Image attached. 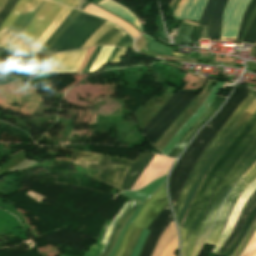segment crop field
Returning <instances> with one entry per match:
<instances>
[{
	"instance_id": "obj_1",
	"label": "crop field",
	"mask_w": 256,
	"mask_h": 256,
	"mask_svg": "<svg viewBox=\"0 0 256 256\" xmlns=\"http://www.w3.org/2000/svg\"><path fill=\"white\" fill-rule=\"evenodd\" d=\"M256 124V112L252 116V118L247 122V124L240 130L238 135L235 137V139L231 142V144L226 148V150L223 152V154L220 156V158L217 160V162L214 164V166L211 168L209 173L207 174L202 186L200 187L192 205L188 212V215L180 229L181 235H182V241L188 231L189 225L193 219V216L196 212V209L203 197L204 192L206 191L208 185L214 178V176L217 174V172L220 170V168L223 166L225 161L228 159V157L231 155V153L235 150V148L240 144V142L244 139V137L249 133V131L253 128V126ZM256 137V125L255 127L250 131V133L245 137V139L241 142V144L237 147V149L232 153V155L229 157L227 162L224 164V166L221 168V170L218 172V174L215 176L211 184L209 185L198 209L194 216V219L192 221V224L189 228V231L182 243V250L181 255L186 251L193 235L196 230V227L199 223V220L204 212V209L206 207V204L217 187V185L220 183V181L223 179V177L226 175V173L230 170V168L235 164V162L239 159V157L242 155V153L246 150V148L249 146V144L253 141V139ZM256 150V138L251 143V145L247 148V150L243 153V155L240 157V159L237 161V163L232 167V169L227 173V175L224 177V179L221 181L219 186L214 191L212 197L210 198L207 207L205 209L204 215L198 225V228L195 232V235L193 237L192 242L190 243L187 251L183 256H189L206 221L207 218L211 212V209L223 190V188L226 186V184L229 182V180L234 176V174L240 169V167L246 162V160L251 156V154Z\"/></svg>"
},
{
	"instance_id": "obj_2",
	"label": "crop field",
	"mask_w": 256,
	"mask_h": 256,
	"mask_svg": "<svg viewBox=\"0 0 256 256\" xmlns=\"http://www.w3.org/2000/svg\"><path fill=\"white\" fill-rule=\"evenodd\" d=\"M227 0H208L199 24L184 20L176 44L188 46L189 41L219 39L221 18Z\"/></svg>"
},
{
	"instance_id": "obj_3",
	"label": "crop field",
	"mask_w": 256,
	"mask_h": 256,
	"mask_svg": "<svg viewBox=\"0 0 256 256\" xmlns=\"http://www.w3.org/2000/svg\"><path fill=\"white\" fill-rule=\"evenodd\" d=\"M72 163H75L83 168L101 170L97 180H103L120 188L122 179L132 165L133 162L122 160L119 158L84 153L74 152ZM114 186V187H115Z\"/></svg>"
},
{
	"instance_id": "obj_4",
	"label": "crop field",
	"mask_w": 256,
	"mask_h": 256,
	"mask_svg": "<svg viewBox=\"0 0 256 256\" xmlns=\"http://www.w3.org/2000/svg\"><path fill=\"white\" fill-rule=\"evenodd\" d=\"M167 204L164 184L142 207L134 224L128 226L114 256H130L142 227L146 228Z\"/></svg>"
},
{
	"instance_id": "obj_5",
	"label": "crop field",
	"mask_w": 256,
	"mask_h": 256,
	"mask_svg": "<svg viewBox=\"0 0 256 256\" xmlns=\"http://www.w3.org/2000/svg\"><path fill=\"white\" fill-rule=\"evenodd\" d=\"M195 94V92L188 90L174 92L165 106L142 128L145 137L153 144L187 107Z\"/></svg>"
},
{
	"instance_id": "obj_6",
	"label": "crop field",
	"mask_w": 256,
	"mask_h": 256,
	"mask_svg": "<svg viewBox=\"0 0 256 256\" xmlns=\"http://www.w3.org/2000/svg\"><path fill=\"white\" fill-rule=\"evenodd\" d=\"M253 103V102H252ZM247 111L254 114L256 111V100L254 103L247 109ZM252 114L245 111V113L238 119V121L235 123V125L230 129V131L225 135L224 139L221 141V143L218 145V147L214 150V152L210 155L206 163L204 164L202 170L200 171L199 175L197 176L192 189L185 200L179 214L177 215L176 219L178 222L179 229L187 215V212L190 208V205L193 201L194 196L196 195L204 177L210 170V168L213 166V164L216 162V160L219 158L221 153L225 150V148L230 144V142L234 139V137L237 135L239 130L246 124V122L250 119Z\"/></svg>"
},
{
	"instance_id": "obj_7",
	"label": "crop field",
	"mask_w": 256,
	"mask_h": 256,
	"mask_svg": "<svg viewBox=\"0 0 256 256\" xmlns=\"http://www.w3.org/2000/svg\"><path fill=\"white\" fill-rule=\"evenodd\" d=\"M106 20L82 13L57 39L50 52L81 48Z\"/></svg>"
},
{
	"instance_id": "obj_8",
	"label": "crop field",
	"mask_w": 256,
	"mask_h": 256,
	"mask_svg": "<svg viewBox=\"0 0 256 256\" xmlns=\"http://www.w3.org/2000/svg\"><path fill=\"white\" fill-rule=\"evenodd\" d=\"M249 93L248 89L243 86L239 94L236 96V98L232 101V103L228 106L226 111L223 113V115L219 118V120L215 123V125L207 132V134L204 136L202 141L199 143L195 151L193 152L190 160L188 161L187 165L185 166L178 182L176 183L171 195V203L174 207L179 194L194 166L197 159L199 158L200 154L202 153L203 149L206 147V145L209 143V141L212 139L215 133L220 129V127L223 125V123L226 121V119L230 116V114L234 111V109L240 104V102L245 98V96Z\"/></svg>"
},
{
	"instance_id": "obj_9",
	"label": "crop field",
	"mask_w": 256,
	"mask_h": 256,
	"mask_svg": "<svg viewBox=\"0 0 256 256\" xmlns=\"http://www.w3.org/2000/svg\"><path fill=\"white\" fill-rule=\"evenodd\" d=\"M255 100V98L252 97V95H248L247 98L241 103V105L235 110V112L232 114V116L228 119V121L225 123V125L219 130V132L216 134L214 139L211 141V143L208 145V147L205 149L197 163L195 164L181 194L178 199V202L174 208L175 216L178 214L196 176L198 175L200 169L202 168L203 164L209 157V155L212 153V151L215 149L216 145L223 139L224 135L228 132V130L234 125V123L237 121V119L242 115V113L252 104V102Z\"/></svg>"
},
{
	"instance_id": "obj_10",
	"label": "crop field",
	"mask_w": 256,
	"mask_h": 256,
	"mask_svg": "<svg viewBox=\"0 0 256 256\" xmlns=\"http://www.w3.org/2000/svg\"><path fill=\"white\" fill-rule=\"evenodd\" d=\"M256 218V190L241 210L227 240L216 254L231 256L242 241L247 229Z\"/></svg>"
},
{
	"instance_id": "obj_11",
	"label": "crop field",
	"mask_w": 256,
	"mask_h": 256,
	"mask_svg": "<svg viewBox=\"0 0 256 256\" xmlns=\"http://www.w3.org/2000/svg\"><path fill=\"white\" fill-rule=\"evenodd\" d=\"M56 2L48 1L46 5L41 9V11L37 14L34 21L28 26V28L24 31V33L19 37L16 41L15 45L12 49L20 50L21 46L28 39V37L33 33V31L39 26L48 12L53 8ZM64 5L56 4L55 7L49 12L40 26L35 30V32L29 37V39L22 46L21 50L30 51L31 47L36 43L42 33L46 30L49 24L53 21V19L58 15V13L63 9Z\"/></svg>"
},
{
	"instance_id": "obj_12",
	"label": "crop field",
	"mask_w": 256,
	"mask_h": 256,
	"mask_svg": "<svg viewBox=\"0 0 256 256\" xmlns=\"http://www.w3.org/2000/svg\"><path fill=\"white\" fill-rule=\"evenodd\" d=\"M256 178V165L248 172L245 178H242L240 182L234 187V189L228 195L219 216L211 230V233L206 242L207 245L215 246L218 241L232 211V208L237 198L247 188V186Z\"/></svg>"
},
{
	"instance_id": "obj_13",
	"label": "crop field",
	"mask_w": 256,
	"mask_h": 256,
	"mask_svg": "<svg viewBox=\"0 0 256 256\" xmlns=\"http://www.w3.org/2000/svg\"><path fill=\"white\" fill-rule=\"evenodd\" d=\"M46 2L47 0H29L17 20L1 37L0 48L11 49L14 42L27 28Z\"/></svg>"
},
{
	"instance_id": "obj_14",
	"label": "crop field",
	"mask_w": 256,
	"mask_h": 256,
	"mask_svg": "<svg viewBox=\"0 0 256 256\" xmlns=\"http://www.w3.org/2000/svg\"><path fill=\"white\" fill-rule=\"evenodd\" d=\"M255 161H256V151L252 154V156L247 160V162L241 167V169L235 174V176L230 180V182L224 188V190L220 194L219 198L217 199V201L212 209V212L208 218V221L201 233V236H200V238L190 256L198 255L203 243L205 242V240L207 239V237L210 233V230H211L213 223L222 207V204H223L225 198L227 197V195L229 194L231 189L242 178V176L250 169V167L254 164Z\"/></svg>"
},
{
	"instance_id": "obj_15",
	"label": "crop field",
	"mask_w": 256,
	"mask_h": 256,
	"mask_svg": "<svg viewBox=\"0 0 256 256\" xmlns=\"http://www.w3.org/2000/svg\"><path fill=\"white\" fill-rule=\"evenodd\" d=\"M242 86H237L236 90L234 91L233 95L230 97V99L226 102V104L222 107V109L218 112V114L209 122L207 123L204 128L200 131V133L196 136V138L192 141V143L189 145L185 153L182 155L178 163L175 165L171 178L169 183V193L171 192L173 186L175 185L182 169L184 168L186 162L188 161L189 157L191 156L193 150L198 145L204 134L208 131V129L214 124V122L217 120V118L222 114V112L226 109V107L231 103V101L235 98L237 93L240 91Z\"/></svg>"
},
{
	"instance_id": "obj_16",
	"label": "crop field",
	"mask_w": 256,
	"mask_h": 256,
	"mask_svg": "<svg viewBox=\"0 0 256 256\" xmlns=\"http://www.w3.org/2000/svg\"><path fill=\"white\" fill-rule=\"evenodd\" d=\"M170 212V208L167 205L151 222L147 229L154 231L159 223L165 219ZM172 221L173 219L171 215H169L154 232H149L139 256H151L160 235L165 231Z\"/></svg>"
},
{
	"instance_id": "obj_17",
	"label": "crop field",
	"mask_w": 256,
	"mask_h": 256,
	"mask_svg": "<svg viewBox=\"0 0 256 256\" xmlns=\"http://www.w3.org/2000/svg\"><path fill=\"white\" fill-rule=\"evenodd\" d=\"M173 162L174 159L155 155L131 190H138L158 177L167 174Z\"/></svg>"
},
{
	"instance_id": "obj_18",
	"label": "crop field",
	"mask_w": 256,
	"mask_h": 256,
	"mask_svg": "<svg viewBox=\"0 0 256 256\" xmlns=\"http://www.w3.org/2000/svg\"><path fill=\"white\" fill-rule=\"evenodd\" d=\"M223 100V97H215V99L212 101L207 110L199 117V119L192 125V127L187 131V133L176 144V146L170 151V153L168 154L169 156L178 157V155L180 154L181 150L188 142V140L192 137L196 130L214 114V112L218 109Z\"/></svg>"
},
{
	"instance_id": "obj_19",
	"label": "crop field",
	"mask_w": 256,
	"mask_h": 256,
	"mask_svg": "<svg viewBox=\"0 0 256 256\" xmlns=\"http://www.w3.org/2000/svg\"><path fill=\"white\" fill-rule=\"evenodd\" d=\"M223 82H217L216 86L212 89L210 94L207 96L203 104L198 108V110L189 118V120L176 132L173 138L161 151L165 155L175 146V144L180 140V138L185 134V132L190 128V126L196 121V119L202 114V112L208 107L211 103L217 92L222 87Z\"/></svg>"
},
{
	"instance_id": "obj_20",
	"label": "crop field",
	"mask_w": 256,
	"mask_h": 256,
	"mask_svg": "<svg viewBox=\"0 0 256 256\" xmlns=\"http://www.w3.org/2000/svg\"><path fill=\"white\" fill-rule=\"evenodd\" d=\"M154 157V154L144 153L140 154L137 160L134 162L130 170L128 171L125 179L122 182L121 189H129L133 186L136 180L139 178L141 173L144 171L148 163Z\"/></svg>"
},
{
	"instance_id": "obj_21",
	"label": "crop field",
	"mask_w": 256,
	"mask_h": 256,
	"mask_svg": "<svg viewBox=\"0 0 256 256\" xmlns=\"http://www.w3.org/2000/svg\"><path fill=\"white\" fill-rule=\"evenodd\" d=\"M87 49L88 48L68 52L55 72L76 73Z\"/></svg>"
},
{
	"instance_id": "obj_22",
	"label": "crop field",
	"mask_w": 256,
	"mask_h": 256,
	"mask_svg": "<svg viewBox=\"0 0 256 256\" xmlns=\"http://www.w3.org/2000/svg\"><path fill=\"white\" fill-rule=\"evenodd\" d=\"M255 5H256V0H251L250 3L248 4V6L245 10L243 19L240 24V28H239V32H238L236 41H239V39L244 31V28L246 26V23L249 19V16H250L251 12L253 11ZM243 42L255 44V42H256V16L254 17L246 35H245Z\"/></svg>"
},
{
	"instance_id": "obj_23",
	"label": "crop field",
	"mask_w": 256,
	"mask_h": 256,
	"mask_svg": "<svg viewBox=\"0 0 256 256\" xmlns=\"http://www.w3.org/2000/svg\"><path fill=\"white\" fill-rule=\"evenodd\" d=\"M166 176L154 181L152 184L148 185L147 187L137 191V192H130V191H123L120 194L138 202L144 203L153 192H155L159 186L165 181Z\"/></svg>"
},
{
	"instance_id": "obj_24",
	"label": "crop field",
	"mask_w": 256,
	"mask_h": 256,
	"mask_svg": "<svg viewBox=\"0 0 256 256\" xmlns=\"http://www.w3.org/2000/svg\"><path fill=\"white\" fill-rule=\"evenodd\" d=\"M81 14L80 11L73 9L63 23L56 29L51 37L46 41L40 52H48L52 44L61 35V33Z\"/></svg>"
},
{
	"instance_id": "obj_25",
	"label": "crop field",
	"mask_w": 256,
	"mask_h": 256,
	"mask_svg": "<svg viewBox=\"0 0 256 256\" xmlns=\"http://www.w3.org/2000/svg\"><path fill=\"white\" fill-rule=\"evenodd\" d=\"M126 34V32L114 25L93 46L115 45Z\"/></svg>"
},
{
	"instance_id": "obj_26",
	"label": "crop field",
	"mask_w": 256,
	"mask_h": 256,
	"mask_svg": "<svg viewBox=\"0 0 256 256\" xmlns=\"http://www.w3.org/2000/svg\"><path fill=\"white\" fill-rule=\"evenodd\" d=\"M27 0H19L17 4L14 6L11 13L5 19L4 23L0 27V37L4 34V32L10 27V25L15 21L20 12L22 11Z\"/></svg>"
},
{
	"instance_id": "obj_27",
	"label": "crop field",
	"mask_w": 256,
	"mask_h": 256,
	"mask_svg": "<svg viewBox=\"0 0 256 256\" xmlns=\"http://www.w3.org/2000/svg\"><path fill=\"white\" fill-rule=\"evenodd\" d=\"M143 36L147 41L148 49H150L151 51L164 54V55H171V56H178V57L183 56V55L171 52L172 49L166 48L165 46L154 42L155 40L153 41L149 36L147 35H143Z\"/></svg>"
},
{
	"instance_id": "obj_28",
	"label": "crop field",
	"mask_w": 256,
	"mask_h": 256,
	"mask_svg": "<svg viewBox=\"0 0 256 256\" xmlns=\"http://www.w3.org/2000/svg\"><path fill=\"white\" fill-rule=\"evenodd\" d=\"M113 25L114 24L107 21L89 38V40L84 44L83 47L92 46Z\"/></svg>"
},
{
	"instance_id": "obj_29",
	"label": "crop field",
	"mask_w": 256,
	"mask_h": 256,
	"mask_svg": "<svg viewBox=\"0 0 256 256\" xmlns=\"http://www.w3.org/2000/svg\"><path fill=\"white\" fill-rule=\"evenodd\" d=\"M256 231V219L252 223L250 229L248 230L245 238L241 242L240 246L238 249L235 251V253L232 256H240L241 253L244 251L245 247L247 246L248 242L250 241L251 237L253 236L254 232Z\"/></svg>"
},
{
	"instance_id": "obj_30",
	"label": "crop field",
	"mask_w": 256,
	"mask_h": 256,
	"mask_svg": "<svg viewBox=\"0 0 256 256\" xmlns=\"http://www.w3.org/2000/svg\"><path fill=\"white\" fill-rule=\"evenodd\" d=\"M110 222L107 221L99 239L97 240V242L89 249V251L84 255V256H98V254L101 252L102 248L104 247L103 244H100L108 226H109Z\"/></svg>"
},
{
	"instance_id": "obj_31",
	"label": "crop field",
	"mask_w": 256,
	"mask_h": 256,
	"mask_svg": "<svg viewBox=\"0 0 256 256\" xmlns=\"http://www.w3.org/2000/svg\"><path fill=\"white\" fill-rule=\"evenodd\" d=\"M135 209H136V206L133 205L131 210H130V212L127 214V216L125 217L123 222L120 224V226H119L117 232L115 233V235H114V237L112 239V242H111V244H110V246H109V248H108V250H107V252H106V254L104 256H108L109 253L111 252V250L113 249V247L115 245V242H116V239H117V237H118V235L120 233V230L126 224V222L129 220V218L132 216V214L134 213Z\"/></svg>"
},
{
	"instance_id": "obj_32",
	"label": "crop field",
	"mask_w": 256,
	"mask_h": 256,
	"mask_svg": "<svg viewBox=\"0 0 256 256\" xmlns=\"http://www.w3.org/2000/svg\"><path fill=\"white\" fill-rule=\"evenodd\" d=\"M54 54H47L38 64L37 66L31 71L30 75L41 73L42 70L46 67V65L51 61V59L55 56Z\"/></svg>"
},
{
	"instance_id": "obj_33",
	"label": "crop field",
	"mask_w": 256,
	"mask_h": 256,
	"mask_svg": "<svg viewBox=\"0 0 256 256\" xmlns=\"http://www.w3.org/2000/svg\"><path fill=\"white\" fill-rule=\"evenodd\" d=\"M67 52L65 53H57L56 56L52 59V61L48 64V66L43 70L42 73H47V72H54L58 64L61 62L63 57L66 55Z\"/></svg>"
},
{
	"instance_id": "obj_34",
	"label": "crop field",
	"mask_w": 256,
	"mask_h": 256,
	"mask_svg": "<svg viewBox=\"0 0 256 256\" xmlns=\"http://www.w3.org/2000/svg\"><path fill=\"white\" fill-rule=\"evenodd\" d=\"M135 205L138 206L137 209H136V211H135V213L133 214V216L130 218V220L127 222V224H126V225L124 226V228L122 229V231H121V233H120V235H119V237H118V239H117L116 245H115L114 249L112 250V252L110 253L109 256H113V254H114V252H115V250H116V248H117V246H118V244H119V242H120V240H121V238H122V236H123V234H124V232H125V230H126L128 224H130V223L133 222V220H134L135 217L137 216V214H138L140 208L142 207V204L137 203V202H135Z\"/></svg>"
},
{
	"instance_id": "obj_35",
	"label": "crop field",
	"mask_w": 256,
	"mask_h": 256,
	"mask_svg": "<svg viewBox=\"0 0 256 256\" xmlns=\"http://www.w3.org/2000/svg\"><path fill=\"white\" fill-rule=\"evenodd\" d=\"M133 203H134V201H131V203L129 204L128 208H127L126 211L124 212V214L121 216V218H120V219L117 221V223L115 224V226H114V228H113V230H112V232H111V234H110V236H109V239H108V241H107V244H106V246L104 247V249L102 250V252L100 253L99 256H103V255H104V253H105V251L107 250V248H108V246H109V244H110V241H111V239H112V237H113V235H114V233H115V231H116L118 225H119L120 222L123 220V218L126 216V214L129 212V210H130L131 206L133 205Z\"/></svg>"
},
{
	"instance_id": "obj_36",
	"label": "crop field",
	"mask_w": 256,
	"mask_h": 256,
	"mask_svg": "<svg viewBox=\"0 0 256 256\" xmlns=\"http://www.w3.org/2000/svg\"><path fill=\"white\" fill-rule=\"evenodd\" d=\"M18 0H8L0 12V25L3 23L6 16L9 14L13 6Z\"/></svg>"
},
{
	"instance_id": "obj_37",
	"label": "crop field",
	"mask_w": 256,
	"mask_h": 256,
	"mask_svg": "<svg viewBox=\"0 0 256 256\" xmlns=\"http://www.w3.org/2000/svg\"><path fill=\"white\" fill-rule=\"evenodd\" d=\"M241 256H256V232Z\"/></svg>"
},
{
	"instance_id": "obj_38",
	"label": "crop field",
	"mask_w": 256,
	"mask_h": 256,
	"mask_svg": "<svg viewBox=\"0 0 256 256\" xmlns=\"http://www.w3.org/2000/svg\"><path fill=\"white\" fill-rule=\"evenodd\" d=\"M147 233H148V230H145V229L142 230V232H141V234H140V236H139V238L136 242V245H135V247L132 251L131 256H137L138 255V253H139V251H140V249H141V247L144 243V240L146 238Z\"/></svg>"
},
{
	"instance_id": "obj_39",
	"label": "crop field",
	"mask_w": 256,
	"mask_h": 256,
	"mask_svg": "<svg viewBox=\"0 0 256 256\" xmlns=\"http://www.w3.org/2000/svg\"><path fill=\"white\" fill-rule=\"evenodd\" d=\"M177 250V236L166 247L161 256H175L173 253Z\"/></svg>"
},
{
	"instance_id": "obj_40",
	"label": "crop field",
	"mask_w": 256,
	"mask_h": 256,
	"mask_svg": "<svg viewBox=\"0 0 256 256\" xmlns=\"http://www.w3.org/2000/svg\"><path fill=\"white\" fill-rule=\"evenodd\" d=\"M126 52H127V50L118 48V50L116 51L115 55H114L113 58L111 59L110 63L118 62L119 59H120Z\"/></svg>"
},
{
	"instance_id": "obj_41",
	"label": "crop field",
	"mask_w": 256,
	"mask_h": 256,
	"mask_svg": "<svg viewBox=\"0 0 256 256\" xmlns=\"http://www.w3.org/2000/svg\"><path fill=\"white\" fill-rule=\"evenodd\" d=\"M133 45V40L132 38L129 36L127 37L120 45V47H123V48H126L128 50H130V48L132 47Z\"/></svg>"
},
{
	"instance_id": "obj_42",
	"label": "crop field",
	"mask_w": 256,
	"mask_h": 256,
	"mask_svg": "<svg viewBox=\"0 0 256 256\" xmlns=\"http://www.w3.org/2000/svg\"><path fill=\"white\" fill-rule=\"evenodd\" d=\"M56 2H58L59 0H54ZM70 0H60L59 3H62L64 5H66ZM78 5V0H71L67 6L73 7L75 8Z\"/></svg>"
},
{
	"instance_id": "obj_43",
	"label": "crop field",
	"mask_w": 256,
	"mask_h": 256,
	"mask_svg": "<svg viewBox=\"0 0 256 256\" xmlns=\"http://www.w3.org/2000/svg\"><path fill=\"white\" fill-rule=\"evenodd\" d=\"M255 13H256V8L254 9V11H253V13H252V15H251V17H250L248 23H247V26H246L245 31H244V33H243L241 39H240V42L242 41V39H243V37H244V35H245V33H246V31H247V29H248V27H249L251 21H252V19H253Z\"/></svg>"
},
{
	"instance_id": "obj_44",
	"label": "crop field",
	"mask_w": 256,
	"mask_h": 256,
	"mask_svg": "<svg viewBox=\"0 0 256 256\" xmlns=\"http://www.w3.org/2000/svg\"><path fill=\"white\" fill-rule=\"evenodd\" d=\"M7 0H0V10L2 9L3 5L5 4Z\"/></svg>"
}]
</instances>
